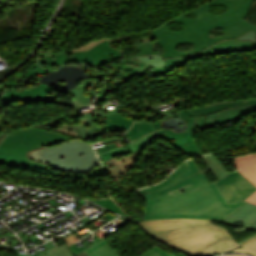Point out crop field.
<instances>
[{"instance_id":"crop-field-1","label":"crop field","mask_w":256,"mask_h":256,"mask_svg":"<svg viewBox=\"0 0 256 256\" xmlns=\"http://www.w3.org/2000/svg\"><path fill=\"white\" fill-rule=\"evenodd\" d=\"M212 4L227 6L220 16L209 14ZM251 0H212L152 30L156 41L139 45L140 53L120 57L122 51L112 49V58H133L158 54L163 58L186 56L214 44L236 38L256 26L244 20Z\"/></svg>"},{"instance_id":"crop-field-2","label":"crop field","mask_w":256,"mask_h":256,"mask_svg":"<svg viewBox=\"0 0 256 256\" xmlns=\"http://www.w3.org/2000/svg\"><path fill=\"white\" fill-rule=\"evenodd\" d=\"M146 202L144 219L191 218L224 221L246 201L228 204L215 183L209 184L191 160L162 183L137 190Z\"/></svg>"},{"instance_id":"crop-field-3","label":"crop field","mask_w":256,"mask_h":256,"mask_svg":"<svg viewBox=\"0 0 256 256\" xmlns=\"http://www.w3.org/2000/svg\"><path fill=\"white\" fill-rule=\"evenodd\" d=\"M151 236L191 256L216 254L238 244L228 231L210 220H154L139 223Z\"/></svg>"},{"instance_id":"crop-field-4","label":"crop field","mask_w":256,"mask_h":256,"mask_svg":"<svg viewBox=\"0 0 256 256\" xmlns=\"http://www.w3.org/2000/svg\"><path fill=\"white\" fill-rule=\"evenodd\" d=\"M69 139L72 138L35 127L11 132L0 145V164L12 168L37 171L56 176L93 177L103 175L100 166L82 175L66 174L57 172L27 157V152L30 150Z\"/></svg>"},{"instance_id":"crop-field-5","label":"crop field","mask_w":256,"mask_h":256,"mask_svg":"<svg viewBox=\"0 0 256 256\" xmlns=\"http://www.w3.org/2000/svg\"><path fill=\"white\" fill-rule=\"evenodd\" d=\"M256 49V42H244L239 40H227L224 42H219L214 46L206 49L203 52L187 56L185 58L179 59H166L167 65L165 67H153L144 62H135L133 60H124L123 71L125 73L126 69L133 70L131 74H129L125 79H129L134 75H164L170 72L177 70L183 64H185L189 59L197 58L201 56L214 55V54H222L229 52H237V51H246Z\"/></svg>"},{"instance_id":"crop-field-6","label":"crop field","mask_w":256,"mask_h":256,"mask_svg":"<svg viewBox=\"0 0 256 256\" xmlns=\"http://www.w3.org/2000/svg\"><path fill=\"white\" fill-rule=\"evenodd\" d=\"M216 185L221 190L228 203L245 200L256 190V188L238 171L216 182Z\"/></svg>"},{"instance_id":"crop-field-7","label":"crop field","mask_w":256,"mask_h":256,"mask_svg":"<svg viewBox=\"0 0 256 256\" xmlns=\"http://www.w3.org/2000/svg\"><path fill=\"white\" fill-rule=\"evenodd\" d=\"M233 165L236 170L256 187V156L234 160ZM246 200L256 205V191Z\"/></svg>"},{"instance_id":"crop-field-8","label":"crop field","mask_w":256,"mask_h":256,"mask_svg":"<svg viewBox=\"0 0 256 256\" xmlns=\"http://www.w3.org/2000/svg\"><path fill=\"white\" fill-rule=\"evenodd\" d=\"M224 222L247 228L256 222V206L247 202Z\"/></svg>"},{"instance_id":"crop-field-9","label":"crop field","mask_w":256,"mask_h":256,"mask_svg":"<svg viewBox=\"0 0 256 256\" xmlns=\"http://www.w3.org/2000/svg\"><path fill=\"white\" fill-rule=\"evenodd\" d=\"M157 250L155 247L139 256H147ZM84 251L88 256H120L104 239Z\"/></svg>"},{"instance_id":"crop-field-10","label":"crop field","mask_w":256,"mask_h":256,"mask_svg":"<svg viewBox=\"0 0 256 256\" xmlns=\"http://www.w3.org/2000/svg\"><path fill=\"white\" fill-rule=\"evenodd\" d=\"M201 157L213 175L217 178V180H220L229 174L226 168L212 154L204 155Z\"/></svg>"},{"instance_id":"crop-field-11","label":"crop field","mask_w":256,"mask_h":256,"mask_svg":"<svg viewBox=\"0 0 256 256\" xmlns=\"http://www.w3.org/2000/svg\"><path fill=\"white\" fill-rule=\"evenodd\" d=\"M39 256H73L71 253L69 247L66 243L61 244L59 246H56L54 248H51L49 250L43 251L40 253ZM77 256H87L86 253L83 251Z\"/></svg>"},{"instance_id":"crop-field-12","label":"crop field","mask_w":256,"mask_h":256,"mask_svg":"<svg viewBox=\"0 0 256 256\" xmlns=\"http://www.w3.org/2000/svg\"><path fill=\"white\" fill-rule=\"evenodd\" d=\"M240 247L234 249L235 252H244L256 256V235L240 243Z\"/></svg>"},{"instance_id":"crop-field-13","label":"crop field","mask_w":256,"mask_h":256,"mask_svg":"<svg viewBox=\"0 0 256 256\" xmlns=\"http://www.w3.org/2000/svg\"><path fill=\"white\" fill-rule=\"evenodd\" d=\"M249 228H251V229H255V230H256V223H255V224H253L252 226H250Z\"/></svg>"},{"instance_id":"crop-field-14","label":"crop field","mask_w":256,"mask_h":256,"mask_svg":"<svg viewBox=\"0 0 256 256\" xmlns=\"http://www.w3.org/2000/svg\"><path fill=\"white\" fill-rule=\"evenodd\" d=\"M161 256H171L170 254H168V253H164L163 255H161Z\"/></svg>"},{"instance_id":"crop-field-15","label":"crop field","mask_w":256,"mask_h":256,"mask_svg":"<svg viewBox=\"0 0 256 256\" xmlns=\"http://www.w3.org/2000/svg\"><path fill=\"white\" fill-rule=\"evenodd\" d=\"M229 256H243V255H229Z\"/></svg>"},{"instance_id":"crop-field-16","label":"crop field","mask_w":256,"mask_h":256,"mask_svg":"<svg viewBox=\"0 0 256 256\" xmlns=\"http://www.w3.org/2000/svg\"><path fill=\"white\" fill-rule=\"evenodd\" d=\"M25 256V255H24Z\"/></svg>"}]
</instances>
